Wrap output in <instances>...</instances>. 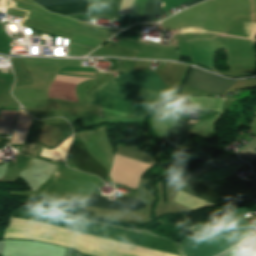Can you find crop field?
I'll return each mask as SVG.
<instances>
[{"mask_svg": "<svg viewBox=\"0 0 256 256\" xmlns=\"http://www.w3.org/2000/svg\"><path fill=\"white\" fill-rule=\"evenodd\" d=\"M90 78H94V77H90ZM90 78H62V77H56L54 79L52 85L75 88L76 85L79 84L81 81L86 80V79H90ZM48 97L78 102L77 97H74V96H67V95H59V94L49 93Z\"/></svg>", "mask_w": 256, "mask_h": 256, "instance_id": "obj_11", "label": "crop field"}, {"mask_svg": "<svg viewBox=\"0 0 256 256\" xmlns=\"http://www.w3.org/2000/svg\"><path fill=\"white\" fill-rule=\"evenodd\" d=\"M249 213L243 207L226 217L194 229L198 236L181 242L185 256H215L240 242L250 231L240 215Z\"/></svg>", "mask_w": 256, "mask_h": 256, "instance_id": "obj_3", "label": "crop field"}, {"mask_svg": "<svg viewBox=\"0 0 256 256\" xmlns=\"http://www.w3.org/2000/svg\"><path fill=\"white\" fill-rule=\"evenodd\" d=\"M217 183H219L223 186L232 188V189H234L238 192H242V193L251 195V196L256 198V193H255V190L253 188V185L249 184L247 182H241L237 179L229 177L225 180L218 181Z\"/></svg>", "mask_w": 256, "mask_h": 256, "instance_id": "obj_12", "label": "crop field"}, {"mask_svg": "<svg viewBox=\"0 0 256 256\" xmlns=\"http://www.w3.org/2000/svg\"><path fill=\"white\" fill-rule=\"evenodd\" d=\"M188 99V98H187Z\"/></svg>", "mask_w": 256, "mask_h": 256, "instance_id": "obj_19", "label": "crop field"}, {"mask_svg": "<svg viewBox=\"0 0 256 256\" xmlns=\"http://www.w3.org/2000/svg\"><path fill=\"white\" fill-rule=\"evenodd\" d=\"M120 81L139 88L170 94L166 85L150 71H137L118 76Z\"/></svg>", "mask_w": 256, "mask_h": 256, "instance_id": "obj_6", "label": "crop field"}, {"mask_svg": "<svg viewBox=\"0 0 256 256\" xmlns=\"http://www.w3.org/2000/svg\"><path fill=\"white\" fill-rule=\"evenodd\" d=\"M16 111H0V132L10 133Z\"/></svg>", "mask_w": 256, "mask_h": 256, "instance_id": "obj_14", "label": "crop field"}, {"mask_svg": "<svg viewBox=\"0 0 256 256\" xmlns=\"http://www.w3.org/2000/svg\"><path fill=\"white\" fill-rule=\"evenodd\" d=\"M6 237L40 240L74 248L93 256H176L24 220H12V225L8 229Z\"/></svg>", "mask_w": 256, "mask_h": 256, "instance_id": "obj_1", "label": "crop field"}, {"mask_svg": "<svg viewBox=\"0 0 256 256\" xmlns=\"http://www.w3.org/2000/svg\"><path fill=\"white\" fill-rule=\"evenodd\" d=\"M70 157L79 170L98 175L103 181L106 180L107 171L90 155L83 142L77 143Z\"/></svg>", "mask_w": 256, "mask_h": 256, "instance_id": "obj_7", "label": "crop field"}, {"mask_svg": "<svg viewBox=\"0 0 256 256\" xmlns=\"http://www.w3.org/2000/svg\"><path fill=\"white\" fill-rule=\"evenodd\" d=\"M11 218L47 223L85 235L183 256L177 244L167 240L128 232L55 212L22 208L15 211Z\"/></svg>", "mask_w": 256, "mask_h": 256, "instance_id": "obj_2", "label": "crop field"}, {"mask_svg": "<svg viewBox=\"0 0 256 256\" xmlns=\"http://www.w3.org/2000/svg\"><path fill=\"white\" fill-rule=\"evenodd\" d=\"M164 30H166V29H164ZM178 31H180V30H178ZM181 32L183 33V32H188V31H181ZM195 32H199V30H196Z\"/></svg>", "mask_w": 256, "mask_h": 256, "instance_id": "obj_17", "label": "crop field"}, {"mask_svg": "<svg viewBox=\"0 0 256 256\" xmlns=\"http://www.w3.org/2000/svg\"><path fill=\"white\" fill-rule=\"evenodd\" d=\"M162 96L166 95L129 88L111 80L94 93L89 104L140 116L151 101Z\"/></svg>", "mask_w": 256, "mask_h": 256, "instance_id": "obj_4", "label": "crop field"}, {"mask_svg": "<svg viewBox=\"0 0 256 256\" xmlns=\"http://www.w3.org/2000/svg\"><path fill=\"white\" fill-rule=\"evenodd\" d=\"M162 0H148L143 12L141 22H156L154 16L163 13L161 8Z\"/></svg>", "mask_w": 256, "mask_h": 256, "instance_id": "obj_13", "label": "crop field"}, {"mask_svg": "<svg viewBox=\"0 0 256 256\" xmlns=\"http://www.w3.org/2000/svg\"><path fill=\"white\" fill-rule=\"evenodd\" d=\"M253 172L256 174V168L255 167H253Z\"/></svg>", "mask_w": 256, "mask_h": 256, "instance_id": "obj_18", "label": "crop field"}, {"mask_svg": "<svg viewBox=\"0 0 256 256\" xmlns=\"http://www.w3.org/2000/svg\"><path fill=\"white\" fill-rule=\"evenodd\" d=\"M235 81H228L210 73L193 68L185 85L211 94L219 95L231 87Z\"/></svg>", "mask_w": 256, "mask_h": 256, "instance_id": "obj_5", "label": "crop field"}, {"mask_svg": "<svg viewBox=\"0 0 256 256\" xmlns=\"http://www.w3.org/2000/svg\"><path fill=\"white\" fill-rule=\"evenodd\" d=\"M228 256H241V255L239 254L238 251H236V252H234V253H232V254H230V255H228Z\"/></svg>", "mask_w": 256, "mask_h": 256, "instance_id": "obj_16", "label": "crop field"}, {"mask_svg": "<svg viewBox=\"0 0 256 256\" xmlns=\"http://www.w3.org/2000/svg\"><path fill=\"white\" fill-rule=\"evenodd\" d=\"M30 120L31 118L24 112V110H21L10 143H23ZM41 124V122L33 119L31 120L24 143L35 141L37 139Z\"/></svg>", "mask_w": 256, "mask_h": 256, "instance_id": "obj_9", "label": "crop field"}, {"mask_svg": "<svg viewBox=\"0 0 256 256\" xmlns=\"http://www.w3.org/2000/svg\"><path fill=\"white\" fill-rule=\"evenodd\" d=\"M86 205L113 210L129 211H134L146 207L142 201L135 199L134 197H114V200L110 201L106 198L98 196L96 193H93L90 196Z\"/></svg>", "mask_w": 256, "mask_h": 256, "instance_id": "obj_8", "label": "crop field"}, {"mask_svg": "<svg viewBox=\"0 0 256 256\" xmlns=\"http://www.w3.org/2000/svg\"><path fill=\"white\" fill-rule=\"evenodd\" d=\"M34 1L39 3L42 6H47V5L82 2L85 0H34ZM45 8L49 11L56 12L62 15L83 13V12H87V2L57 5V6H47Z\"/></svg>", "mask_w": 256, "mask_h": 256, "instance_id": "obj_10", "label": "crop field"}, {"mask_svg": "<svg viewBox=\"0 0 256 256\" xmlns=\"http://www.w3.org/2000/svg\"><path fill=\"white\" fill-rule=\"evenodd\" d=\"M202 1H204V0H191V1H189V2L184 3V5H185L186 7H189V6H191V5L200 3V2H202Z\"/></svg>", "mask_w": 256, "mask_h": 256, "instance_id": "obj_15", "label": "crop field"}]
</instances>
